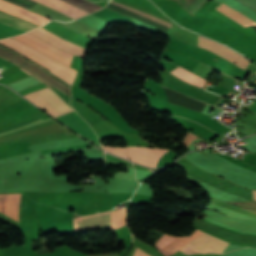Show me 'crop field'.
<instances>
[{
    "mask_svg": "<svg viewBox=\"0 0 256 256\" xmlns=\"http://www.w3.org/2000/svg\"><path fill=\"white\" fill-rule=\"evenodd\" d=\"M74 217L77 216L74 215ZM96 227H109V212L98 215L74 218L75 231Z\"/></svg>",
    "mask_w": 256,
    "mask_h": 256,
    "instance_id": "crop-field-7",
    "label": "crop field"
},
{
    "mask_svg": "<svg viewBox=\"0 0 256 256\" xmlns=\"http://www.w3.org/2000/svg\"><path fill=\"white\" fill-rule=\"evenodd\" d=\"M20 194H0V213L17 221Z\"/></svg>",
    "mask_w": 256,
    "mask_h": 256,
    "instance_id": "crop-field-10",
    "label": "crop field"
},
{
    "mask_svg": "<svg viewBox=\"0 0 256 256\" xmlns=\"http://www.w3.org/2000/svg\"><path fill=\"white\" fill-rule=\"evenodd\" d=\"M36 30H38V31L42 32L43 34H45V35H47V36L53 38L54 40L58 41L59 43L65 45V46H67V47H70V48H72V49L79 50V51H84V52L87 51V50H85V49H83V48H81V47H79V46H76V45L71 44V43H69V42H67V41H64V40H62L61 38H59V37H57V36H55V35H53V34L47 32V31H45V30H43V29H41V28L36 29ZM28 33H30V34H32V35H34V36H36V37H39V38H41V39H43V40H45V41H47V42H49V43L55 45L56 47H58V48H60V49H62V50H65V51H67V52H70V53H73V54H75V55L82 56V57H84V55H85L84 52H79V51H75V50H72V49H70V48L64 47V46H62L61 44H59V43H57L56 41H54L53 39H51V38H49V37H47V36H45V35H43V34L37 32V31H35V30L30 31V32H28Z\"/></svg>",
    "mask_w": 256,
    "mask_h": 256,
    "instance_id": "crop-field-11",
    "label": "crop field"
},
{
    "mask_svg": "<svg viewBox=\"0 0 256 256\" xmlns=\"http://www.w3.org/2000/svg\"><path fill=\"white\" fill-rule=\"evenodd\" d=\"M0 56L10 61L15 62L18 66H21L30 74L34 75L38 79L45 82L49 87L53 86L60 92L70 96L69 87L70 85L63 81L61 78L49 73L45 69L35 65L32 62L27 61L21 55L0 46Z\"/></svg>",
    "mask_w": 256,
    "mask_h": 256,
    "instance_id": "crop-field-1",
    "label": "crop field"
},
{
    "mask_svg": "<svg viewBox=\"0 0 256 256\" xmlns=\"http://www.w3.org/2000/svg\"><path fill=\"white\" fill-rule=\"evenodd\" d=\"M103 149L114 153L116 155H119L121 157H124L127 159V155H126V149L125 148H111V147H103Z\"/></svg>",
    "mask_w": 256,
    "mask_h": 256,
    "instance_id": "crop-field-19",
    "label": "crop field"
},
{
    "mask_svg": "<svg viewBox=\"0 0 256 256\" xmlns=\"http://www.w3.org/2000/svg\"><path fill=\"white\" fill-rule=\"evenodd\" d=\"M34 1L41 3L43 5L49 6L51 8H54L64 14L74 18V19L88 14V13H86L72 5H69L65 2H62L60 0H34Z\"/></svg>",
    "mask_w": 256,
    "mask_h": 256,
    "instance_id": "crop-field-13",
    "label": "crop field"
},
{
    "mask_svg": "<svg viewBox=\"0 0 256 256\" xmlns=\"http://www.w3.org/2000/svg\"><path fill=\"white\" fill-rule=\"evenodd\" d=\"M217 3H219L220 5L222 4L221 2L215 0ZM219 5V6H220ZM218 7V6H217ZM216 7V8H217ZM215 8V9H216ZM218 11L222 12L223 14H225L226 16H228L229 18L233 19L234 21L238 22L239 24L245 26V25H249L251 23H253L254 21L248 19L247 17L243 16L242 14L231 10L230 8L226 7L225 5H221L220 7L217 8ZM251 25H255L256 26V22L251 24ZM246 27V26H245Z\"/></svg>",
    "mask_w": 256,
    "mask_h": 256,
    "instance_id": "crop-field-16",
    "label": "crop field"
},
{
    "mask_svg": "<svg viewBox=\"0 0 256 256\" xmlns=\"http://www.w3.org/2000/svg\"><path fill=\"white\" fill-rule=\"evenodd\" d=\"M11 40H13V41H15V42H17V43H19V44L29 48V49H31L30 47H28V46H26V45H24V44H22V43H20V42H18L16 40H14V39H11ZM0 44L8 46L9 48H11V49H13V50L23 54L24 56L28 57L32 61L36 62L37 64L41 65L42 67L50 70L52 73H54V74L58 75L59 77L63 78L67 82L72 83V81L74 79V76L76 74L74 72H76V71H74V70L69 68L70 70L74 71V72H72V71H70V70H68V69H66V68H64V67H62V66H60V65H58V64H56V63H54V62H52V61H50V60H48L46 58H44V57L34 53V52H32V51H30V50H28V49H26V48H24V47H22V46H20V45H18L16 43H14L12 41H10V40H8V39L0 40ZM31 50H33V49H31ZM33 51H35V50H33ZM35 52H37V51H35ZM37 53H39V52H37ZM39 54H41V53H39ZM41 55H43V54H41ZM43 56H45V55H43Z\"/></svg>",
    "mask_w": 256,
    "mask_h": 256,
    "instance_id": "crop-field-2",
    "label": "crop field"
},
{
    "mask_svg": "<svg viewBox=\"0 0 256 256\" xmlns=\"http://www.w3.org/2000/svg\"><path fill=\"white\" fill-rule=\"evenodd\" d=\"M47 88V87H46ZM44 89V88H43ZM41 90V89H40ZM38 91V90H37ZM36 92V91H35ZM30 94V93H29ZM36 94L43 99L52 109H54L57 113H59L60 115H63L65 113H68L70 111H72V109L66 104L64 103L57 95H55L49 88L41 90L36 92ZM35 93L34 94H30L27 95L30 99H32L34 102H36L38 105H40L41 107L47 109L48 111H50L53 115H55L56 117L60 116L59 114H57L54 110H52L44 101H42ZM25 96V95H24ZM26 97V96H25ZM26 97V98H28ZM28 98V99H29ZM29 99V100H30ZM30 100V101H32ZM32 101V102H33ZM33 102V103H34ZM35 103V104H36ZM36 104V105H37ZM39 106V107H40ZM40 107V108H41ZM42 108V109H43ZM43 109V110H45ZM47 110H45L46 112H48ZM49 113V112H48ZM50 113V114H51ZM51 114V115H52Z\"/></svg>",
    "mask_w": 256,
    "mask_h": 256,
    "instance_id": "crop-field-3",
    "label": "crop field"
},
{
    "mask_svg": "<svg viewBox=\"0 0 256 256\" xmlns=\"http://www.w3.org/2000/svg\"><path fill=\"white\" fill-rule=\"evenodd\" d=\"M22 35L25 36V37H27V38H29L30 40L36 42L37 44H39V45H41V46H43V47H45V48H47V49H49V50H51V51L57 53V54H59V55L65 57V58H67V59H69V60H71L72 57H73L72 55H70V54H68V53H65V52H61V51L57 50L56 48H54V47L48 45L47 43H45V42H43V41H41V40H39V39H36V38L30 36V35L27 34V33L22 34ZM23 36L19 35V36H16V37L19 38V39H21V40H23V41H25V42H27V43H29V44H31V45H33V46H35V47H37V48H39V49H41V50H43L44 52H46V53H48V54H50V55H52V56H54V57H56V58L62 60V61H64V62L68 63V64L71 63L70 61H68V60H66V59H64V58H62V57H60V56H58V55H56V54H54V53H52V52L46 50L45 48H43V47L37 45L36 43L30 41L29 39H27V38H25V37H23ZM13 38H15V37H13ZM17 38H15V39H17ZM19 39H17V40H19ZM21 40H19V41H21ZM23 41H21V42H23ZM25 42H23V43H25ZM27 43H25V44H27ZM29 44H27V45H29ZM31 45H29V46H31ZM33 46H31V47H33ZM35 47H33V48L36 49V50H38V51H40V52H42L41 50H39V49H37V48H35ZM44 52H42V53H44ZM46 53H44V54H46ZM48 54H46V55H48ZM50 55H48V56L51 57V58H53V59H55V60H57V61H60V60H58V59H56V58H54V57H52V56H50ZM62 61H60V62H62ZM64 62H62V63H64ZM66 63H64V64H66ZM68 64H66V65H67V66H70V65H68Z\"/></svg>",
    "mask_w": 256,
    "mask_h": 256,
    "instance_id": "crop-field-8",
    "label": "crop field"
},
{
    "mask_svg": "<svg viewBox=\"0 0 256 256\" xmlns=\"http://www.w3.org/2000/svg\"><path fill=\"white\" fill-rule=\"evenodd\" d=\"M239 206L247 207L256 210V202H229Z\"/></svg>",
    "mask_w": 256,
    "mask_h": 256,
    "instance_id": "crop-field-20",
    "label": "crop field"
},
{
    "mask_svg": "<svg viewBox=\"0 0 256 256\" xmlns=\"http://www.w3.org/2000/svg\"><path fill=\"white\" fill-rule=\"evenodd\" d=\"M59 121L63 122L74 131L80 135L90 139L95 144L99 145L98 137L93 133L90 127L85 123V121L75 112H70L64 116L57 118ZM100 146V145H99Z\"/></svg>",
    "mask_w": 256,
    "mask_h": 256,
    "instance_id": "crop-field-6",
    "label": "crop field"
},
{
    "mask_svg": "<svg viewBox=\"0 0 256 256\" xmlns=\"http://www.w3.org/2000/svg\"><path fill=\"white\" fill-rule=\"evenodd\" d=\"M134 256H149V255L146 254L145 252L141 251L140 249L136 248Z\"/></svg>",
    "mask_w": 256,
    "mask_h": 256,
    "instance_id": "crop-field-21",
    "label": "crop field"
},
{
    "mask_svg": "<svg viewBox=\"0 0 256 256\" xmlns=\"http://www.w3.org/2000/svg\"><path fill=\"white\" fill-rule=\"evenodd\" d=\"M218 103V102H217Z\"/></svg>",
    "mask_w": 256,
    "mask_h": 256,
    "instance_id": "crop-field-24",
    "label": "crop field"
},
{
    "mask_svg": "<svg viewBox=\"0 0 256 256\" xmlns=\"http://www.w3.org/2000/svg\"><path fill=\"white\" fill-rule=\"evenodd\" d=\"M65 1H68V2H70L72 4H75V5H77V6L81 7V8H84V9L90 11V12H93V11H96L98 9H101V8L91 4V3H88L86 1H84V0H65Z\"/></svg>",
    "mask_w": 256,
    "mask_h": 256,
    "instance_id": "crop-field-18",
    "label": "crop field"
},
{
    "mask_svg": "<svg viewBox=\"0 0 256 256\" xmlns=\"http://www.w3.org/2000/svg\"><path fill=\"white\" fill-rule=\"evenodd\" d=\"M2 13H0V22L9 24L11 26L17 27V28L22 29L24 31H28V30H31V29L37 27L35 25L29 24L30 22L26 23L27 21L24 22V21L18 20L19 18L15 19L16 17L13 18V17L7 16V15H4Z\"/></svg>",
    "mask_w": 256,
    "mask_h": 256,
    "instance_id": "crop-field-17",
    "label": "crop field"
},
{
    "mask_svg": "<svg viewBox=\"0 0 256 256\" xmlns=\"http://www.w3.org/2000/svg\"><path fill=\"white\" fill-rule=\"evenodd\" d=\"M253 196H254L253 200H256V191H254V190H253Z\"/></svg>",
    "mask_w": 256,
    "mask_h": 256,
    "instance_id": "crop-field-23",
    "label": "crop field"
},
{
    "mask_svg": "<svg viewBox=\"0 0 256 256\" xmlns=\"http://www.w3.org/2000/svg\"><path fill=\"white\" fill-rule=\"evenodd\" d=\"M198 32H200L202 34H205L207 36H210L212 38H215V39H217V40H219V41H221V42H223V43H225V44H227V45L237 49L238 51H240V52L244 53L245 55L249 56L250 58L253 59V61L256 62V54L248 51L247 49H245L242 46L236 44L235 42H233V41H231V40H229L227 38L221 37L219 35H216L217 33L214 34V33L210 32V31H208V30H206V29H204L202 27L198 30Z\"/></svg>",
    "mask_w": 256,
    "mask_h": 256,
    "instance_id": "crop-field-14",
    "label": "crop field"
},
{
    "mask_svg": "<svg viewBox=\"0 0 256 256\" xmlns=\"http://www.w3.org/2000/svg\"><path fill=\"white\" fill-rule=\"evenodd\" d=\"M87 256H120L117 253L114 254H105V255H87Z\"/></svg>",
    "mask_w": 256,
    "mask_h": 256,
    "instance_id": "crop-field-22",
    "label": "crop field"
},
{
    "mask_svg": "<svg viewBox=\"0 0 256 256\" xmlns=\"http://www.w3.org/2000/svg\"><path fill=\"white\" fill-rule=\"evenodd\" d=\"M0 10H3L12 15L31 21L39 26H42L49 21L47 18L41 15L21 9L2 0H0Z\"/></svg>",
    "mask_w": 256,
    "mask_h": 256,
    "instance_id": "crop-field-9",
    "label": "crop field"
},
{
    "mask_svg": "<svg viewBox=\"0 0 256 256\" xmlns=\"http://www.w3.org/2000/svg\"><path fill=\"white\" fill-rule=\"evenodd\" d=\"M210 203H211V202H210ZM212 203H213V204H216V205H219V206H222V207H224V208L233 210V211H237V212H241V213H244V214L256 216V211H252V210H247V209L235 207V206H233V205H231V204H227V203L221 202V201L216 200V199H213ZM216 205L210 204V207H209V208H210V209H213V210H216V211H219V212H222V213H224V214H226V215H228V216H231V217H236V218H241V219L256 221V218H255V217H251V216H248V215H244V214H240V213H237V212H233V211L224 209V208L219 207V206H216Z\"/></svg>",
    "mask_w": 256,
    "mask_h": 256,
    "instance_id": "crop-field-12",
    "label": "crop field"
},
{
    "mask_svg": "<svg viewBox=\"0 0 256 256\" xmlns=\"http://www.w3.org/2000/svg\"><path fill=\"white\" fill-rule=\"evenodd\" d=\"M170 73L174 74L178 78H180L188 83L199 86L201 88H203L205 86V84L208 82V81H206V80H204V79H202V78H200V77H198L180 67Z\"/></svg>",
    "mask_w": 256,
    "mask_h": 256,
    "instance_id": "crop-field-15",
    "label": "crop field"
},
{
    "mask_svg": "<svg viewBox=\"0 0 256 256\" xmlns=\"http://www.w3.org/2000/svg\"><path fill=\"white\" fill-rule=\"evenodd\" d=\"M186 245L197 252L223 253L227 242L203 233Z\"/></svg>",
    "mask_w": 256,
    "mask_h": 256,
    "instance_id": "crop-field-5",
    "label": "crop field"
},
{
    "mask_svg": "<svg viewBox=\"0 0 256 256\" xmlns=\"http://www.w3.org/2000/svg\"><path fill=\"white\" fill-rule=\"evenodd\" d=\"M127 151L130 160L150 167H156L160 158L169 150L144 147H127Z\"/></svg>",
    "mask_w": 256,
    "mask_h": 256,
    "instance_id": "crop-field-4",
    "label": "crop field"
}]
</instances>
